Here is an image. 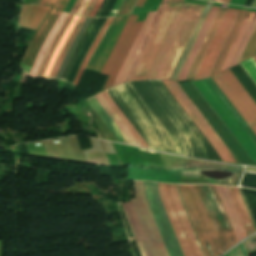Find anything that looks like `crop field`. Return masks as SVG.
Returning <instances> with one entry per match:
<instances>
[{
  "label": "crop field",
  "mask_w": 256,
  "mask_h": 256,
  "mask_svg": "<svg viewBox=\"0 0 256 256\" xmlns=\"http://www.w3.org/2000/svg\"><path fill=\"white\" fill-rule=\"evenodd\" d=\"M129 15L115 17L112 24L105 33L103 39L91 57L86 70L100 73L109 53L118 39Z\"/></svg>",
  "instance_id": "10"
},
{
  "label": "crop field",
  "mask_w": 256,
  "mask_h": 256,
  "mask_svg": "<svg viewBox=\"0 0 256 256\" xmlns=\"http://www.w3.org/2000/svg\"><path fill=\"white\" fill-rule=\"evenodd\" d=\"M91 20H92V18H86V20H85L81 30L78 32V34L76 35L74 41L72 42V44H71V46H70V48H69V50H68V52H67V54H66V56L64 58V61H63L62 65H61V67H60V69H59V71H58V73H57V75L55 77V79H57V80L60 79V77H61V75H62V73H63V71H64V69H65V67L67 65V62H68L72 52L74 51V49L77 46L78 42L80 41L81 37L83 36V34L85 33L86 29L88 28Z\"/></svg>",
  "instance_id": "31"
},
{
  "label": "crop field",
  "mask_w": 256,
  "mask_h": 256,
  "mask_svg": "<svg viewBox=\"0 0 256 256\" xmlns=\"http://www.w3.org/2000/svg\"><path fill=\"white\" fill-rule=\"evenodd\" d=\"M229 191H230V194L232 196V199L235 203V206L237 208V211L239 213V216L241 218V221L244 225V228L246 230V233L247 235L249 236L250 234H252L253 232H255L254 228H253V225L251 223V220L248 216V213L246 211V208L244 206V203L242 201V198L239 194V191L237 188H232V187H228ZM242 225V226H243ZM244 230V231H245Z\"/></svg>",
  "instance_id": "21"
},
{
  "label": "crop field",
  "mask_w": 256,
  "mask_h": 256,
  "mask_svg": "<svg viewBox=\"0 0 256 256\" xmlns=\"http://www.w3.org/2000/svg\"><path fill=\"white\" fill-rule=\"evenodd\" d=\"M37 0H30L28 4L35 5Z\"/></svg>",
  "instance_id": "43"
},
{
  "label": "crop field",
  "mask_w": 256,
  "mask_h": 256,
  "mask_svg": "<svg viewBox=\"0 0 256 256\" xmlns=\"http://www.w3.org/2000/svg\"><path fill=\"white\" fill-rule=\"evenodd\" d=\"M224 11H225V9H223V8L219 9V11H218L211 27H210L208 33H207V35H206V37H205V39L202 43V46H201V48H200V50H199V52H198V54L195 58L190 70H189V73H188V76H187L186 80H192L193 79V77H194V75H195V73H196V71H197V69H198V67L201 63V60H202V58H203V56H204V54L207 50L208 44H209V42H210L218 24H219V21H220L222 15H223Z\"/></svg>",
  "instance_id": "19"
},
{
  "label": "crop field",
  "mask_w": 256,
  "mask_h": 256,
  "mask_svg": "<svg viewBox=\"0 0 256 256\" xmlns=\"http://www.w3.org/2000/svg\"><path fill=\"white\" fill-rule=\"evenodd\" d=\"M101 2H102V0H97V2H96V4H95L94 8L92 9V11L89 13L88 16L94 17V15L96 14V12H97V10H98V8H99Z\"/></svg>",
  "instance_id": "36"
},
{
  "label": "crop field",
  "mask_w": 256,
  "mask_h": 256,
  "mask_svg": "<svg viewBox=\"0 0 256 256\" xmlns=\"http://www.w3.org/2000/svg\"><path fill=\"white\" fill-rule=\"evenodd\" d=\"M229 1H230V0H223V2H225V3H229Z\"/></svg>",
  "instance_id": "44"
},
{
  "label": "crop field",
  "mask_w": 256,
  "mask_h": 256,
  "mask_svg": "<svg viewBox=\"0 0 256 256\" xmlns=\"http://www.w3.org/2000/svg\"><path fill=\"white\" fill-rule=\"evenodd\" d=\"M238 241L247 237L227 187L216 186Z\"/></svg>",
  "instance_id": "12"
},
{
  "label": "crop field",
  "mask_w": 256,
  "mask_h": 256,
  "mask_svg": "<svg viewBox=\"0 0 256 256\" xmlns=\"http://www.w3.org/2000/svg\"><path fill=\"white\" fill-rule=\"evenodd\" d=\"M134 189L137 199H134L133 201L135 203L155 256H168L156 228V225L151 216V213L149 211V208L144 199L142 182L134 181ZM133 201L131 200V202L129 203L121 204L124 213L126 215L141 255L154 256Z\"/></svg>",
  "instance_id": "3"
},
{
  "label": "crop field",
  "mask_w": 256,
  "mask_h": 256,
  "mask_svg": "<svg viewBox=\"0 0 256 256\" xmlns=\"http://www.w3.org/2000/svg\"><path fill=\"white\" fill-rule=\"evenodd\" d=\"M66 16H67V14L62 13V15L60 16V18H59V19L57 20V22L55 23V25H54V27H53L51 33L49 34L47 40L45 41V43H44V45H43V47H42V49H41V51H40V53H39V55H38V57H37V60H36L34 66H33V68H32V70H31V72H30V75H31V76L35 77V75H36V73H37V71H38V69H39V67H40V64H41V62H42V60H43V57H44V55H45V53H46V51H47V49H48V47H49V45H50L52 39H53V37L55 36L56 32H57L58 29L60 28V26H61V24L63 23V21H64V19L66 18Z\"/></svg>",
  "instance_id": "23"
},
{
  "label": "crop field",
  "mask_w": 256,
  "mask_h": 256,
  "mask_svg": "<svg viewBox=\"0 0 256 256\" xmlns=\"http://www.w3.org/2000/svg\"><path fill=\"white\" fill-rule=\"evenodd\" d=\"M135 2H136V0H123L116 16L126 15V14L130 13V11L132 10Z\"/></svg>",
  "instance_id": "34"
},
{
  "label": "crop field",
  "mask_w": 256,
  "mask_h": 256,
  "mask_svg": "<svg viewBox=\"0 0 256 256\" xmlns=\"http://www.w3.org/2000/svg\"><path fill=\"white\" fill-rule=\"evenodd\" d=\"M121 2H122V0H117V1H116V3H115V5H114V7H113V9H112V11H111L109 17L115 16V14H116V12H117V10H118V8H119Z\"/></svg>",
  "instance_id": "37"
},
{
  "label": "crop field",
  "mask_w": 256,
  "mask_h": 256,
  "mask_svg": "<svg viewBox=\"0 0 256 256\" xmlns=\"http://www.w3.org/2000/svg\"><path fill=\"white\" fill-rule=\"evenodd\" d=\"M78 18H79V16L75 15L73 20L71 21V23L69 24V26L67 27L65 32L63 33V35H62V37H61V39H60V41H59V43H58L54 53H53V55H52V57H51V59L49 61V64H48V66H47V68H46L42 78H47L48 77V74H49V72H50V70H51V68H52V66H53V64H54V62H55V60H56V58H57V56H58L62 46H63V44H64V42L66 41L67 37L71 33L72 29L74 28Z\"/></svg>",
  "instance_id": "30"
},
{
  "label": "crop field",
  "mask_w": 256,
  "mask_h": 256,
  "mask_svg": "<svg viewBox=\"0 0 256 256\" xmlns=\"http://www.w3.org/2000/svg\"><path fill=\"white\" fill-rule=\"evenodd\" d=\"M241 65L256 84V62L254 59L250 58L241 63Z\"/></svg>",
  "instance_id": "33"
},
{
  "label": "crop field",
  "mask_w": 256,
  "mask_h": 256,
  "mask_svg": "<svg viewBox=\"0 0 256 256\" xmlns=\"http://www.w3.org/2000/svg\"><path fill=\"white\" fill-rule=\"evenodd\" d=\"M183 0H169L168 5L180 8ZM151 38V41L141 59V61L154 62L165 37L178 13V9L168 6ZM140 62L131 81L146 79L153 63Z\"/></svg>",
  "instance_id": "6"
},
{
  "label": "crop field",
  "mask_w": 256,
  "mask_h": 256,
  "mask_svg": "<svg viewBox=\"0 0 256 256\" xmlns=\"http://www.w3.org/2000/svg\"><path fill=\"white\" fill-rule=\"evenodd\" d=\"M146 0H138L136 6L143 8L145 5Z\"/></svg>",
  "instance_id": "41"
},
{
  "label": "crop field",
  "mask_w": 256,
  "mask_h": 256,
  "mask_svg": "<svg viewBox=\"0 0 256 256\" xmlns=\"http://www.w3.org/2000/svg\"><path fill=\"white\" fill-rule=\"evenodd\" d=\"M67 2L68 0L49 1L47 6L52 8L50 9L49 13L47 14L46 18L44 19L38 30L36 31L35 35L33 36L21 63L32 67L41 46L43 45L45 39L50 33L54 23L63 12Z\"/></svg>",
  "instance_id": "9"
},
{
  "label": "crop field",
  "mask_w": 256,
  "mask_h": 256,
  "mask_svg": "<svg viewBox=\"0 0 256 256\" xmlns=\"http://www.w3.org/2000/svg\"><path fill=\"white\" fill-rule=\"evenodd\" d=\"M114 17H111V18H108L105 22V24L103 25L102 29L100 30L98 36L96 37L94 43L92 44L91 48L89 49L88 53L86 54L80 68H79V71L73 81V85H77L78 81H79V78L87 64V62L89 61L91 55L93 54L94 50L96 49L97 45L99 44L101 38L103 37L104 33L106 32L107 28L109 27V25L111 24L112 20H113Z\"/></svg>",
  "instance_id": "25"
},
{
  "label": "crop field",
  "mask_w": 256,
  "mask_h": 256,
  "mask_svg": "<svg viewBox=\"0 0 256 256\" xmlns=\"http://www.w3.org/2000/svg\"><path fill=\"white\" fill-rule=\"evenodd\" d=\"M82 0H77L70 13L75 14Z\"/></svg>",
  "instance_id": "40"
},
{
  "label": "crop field",
  "mask_w": 256,
  "mask_h": 256,
  "mask_svg": "<svg viewBox=\"0 0 256 256\" xmlns=\"http://www.w3.org/2000/svg\"><path fill=\"white\" fill-rule=\"evenodd\" d=\"M154 14H155V12H149L148 13V15H147V17L145 19V22H144V24H143L139 34L137 35V37H136V39H135V41H134V43H133V45H132V47H131V49H130V51H129V53H128L125 61H124V63L122 64V66H121V68H120V70H119V72H118V74H117V76H116L112 86H115V85L120 84L122 82L123 77H124L128 67H129V65H130V63H131V61H132L136 51H137V48H138V46L140 44V41H141V39H142V37H143V35H144V33H145L149 23L151 22Z\"/></svg>",
  "instance_id": "17"
},
{
  "label": "crop field",
  "mask_w": 256,
  "mask_h": 256,
  "mask_svg": "<svg viewBox=\"0 0 256 256\" xmlns=\"http://www.w3.org/2000/svg\"><path fill=\"white\" fill-rule=\"evenodd\" d=\"M203 8L183 3L147 79H169Z\"/></svg>",
  "instance_id": "2"
},
{
  "label": "crop field",
  "mask_w": 256,
  "mask_h": 256,
  "mask_svg": "<svg viewBox=\"0 0 256 256\" xmlns=\"http://www.w3.org/2000/svg\"><path fill=\"white\" fill-rule=\"evenodd\" d=\"M212 1H214V0H212Z\"/></svg>",
  "instance_id": "47"
},
{
  "label": "crop field",
  "mask_w": 256,
  "mask_h": 256,
  "mask_svg": "<svg viewBox=\"0 0 256 256\" xmlns=\"http://www.w3.org/2000/svg\"><path fill=\"white\" fill-rule=\"evenodd\" d=\"M239 13L240 10L226 9L194 80L209 76Z\"/></svg>",
  "instance_id": "8"
},
{
  "label": "crop field",
  "mask_w": 256,
  "mask_h": 256,
  "mask_svg": "<svg viewBox=\"0 0 256 256\" xmlns=\"http://www.w3.org/2000/svg\"><path fill=\"white\" fill-rule=\"evenodd\" d=\"M206 256H217L237 243L214 185H178Z\"/></svg>",
  "instance_id": "1"
},
{
  "label": "crop field",
  "mask_w": 256,
  "mask_h": 256,
  "mask_svg": "<svg viewBox=\"0 0 256 256\" xmlns=\"http://www.w3.org/2000/svg\"><path fill=\"white\" fill-rule=\"evenodd\" d=\"M167 2H168V0H162V2L160 4V6H159V8H158L154 18H153V20L151 22V24L149 25V27H148V29L146 31V34H145L144 39L142 41V44H141V46H140V48H139V50H138V52H137V54H136L132 64H131V66H130V68H129V70H128V72H127V74H126V76H125V78L123 80V82H127V81L131 80V78H132V76H133V74L135 72V69H136V67H137V65H138V63H139V61L141 59V56H142V54H143V52H144V50H145V48H146V46H147L151 36H152V33H153V31H154V29H155V27H156V25H157V23L159 21L162 13L164 11V9H165V6H166Z\"/></svg>",
  "instance_id": "14"
},
{
  "label": "crop field",
  "mask_w": 256,
  "mask_h": 256,
  "mask_svg": "<svg viewBox=\"0 0 256 256\" xmlns=\"http://www.w3.org/2000/svg\"><path fill=\"white\" fill-rule=\"evenodd\" d=\"M223 256H248V255L245 251L243 244H240L239 246L232 249L231 251H229L228 253H226Z\"/></svg>",
  "instance_id": "35"
},
{
  "label": "crop field",
  "mask_w": 256,
  "mask_h": 256,
  "mask_svg": "<svg viewBox=\"0 0 256 256\" xmlns=\"http://www.w3.org/2000/svg\"><path fill=\"white\" fill-rule=\"evenodd\" d=\"M136 18H137L136 15L131 14L130 18L128 19V21H127L119 39L117 40V42H116V44H115V46H114V48H113V50L110 54L105 66H104V68L101 72L102 75L109 76V74H110V72H111V70H112V68H113V66H114V64H115L123 46H124L127 38H128V36H129V33H130L134 23H135Z\"/></svg>",
  "instance_id": "16"
},
{
  "label": "crop field",
  "mask_w": 256,
  "mask_h": 256,
  "mask_svg": "<svg viewBox=\"0 0 256 256\" xmlns=\"http://www.w3.org/2000/svg\"><path fill=\"white\" fill-rule=\"evenodd\" d=\"M95 97L131 145L149 148L106 91L98 93Z\"/></svg>",
  "instance_id": "11"
},
{
  "label": "crop field",
  "mask_w": 256,
  "mask_h": 256,
  "mask_svg": "<svg viewBox=\"0 0 256 256\" xmlns=\"http://www.w3.org/2000/svg\"><path fill=\"white\" fill-rule=\"evenodd\" d=\"M158 186L160 197L184 256H204L178 195L176 185L158 183Z\"/></svg>",
  "instance_id": "4"
},
{
  "label": "crop field",
  "mask_w": 256,
  "mask_h": 256,
  "mask_svg": "<svg viewBox=\"0 0 256 256\" xmlns=\"http://www.w3.org/2000/svg\"><path fill=\"white\" fill-rule=\"evenodd\" d=\"M95 1H96V0H90V2H89V4H88L87 8L85 9V11H84V13H83L84 16H87V14L90 12V10L92 9V7H93Z\"/></svg>",
  "instance_id": "39"
},
{
  "label": "crop field",
  "mask_w": 256,
  "mask_h": 256,
  "mask_svg": "<svg viewBox=\"0 0 256 256\" xmlns=\"http://www.w3.org/2000/svg\"><path fill=\"white\" fill-rule=\"evenodd\" d=\"M212 5H213V3L208 2L206 7H205V9H204V11L200 15L199 20H198V22H197V24H196V26H195V28H194V30H193L189 40L187 42V45H186V47H185V49H184V51H183V53H182L178 63H177V65H176V67H175V69H174L170 79H174V80L177 79V77H178V75H179V73H180V71L182 69V66H183V64H184V62L186 60V57H187V55H188V53H189V51H190V49H191L195 39H196V37H197V35L199 33V30H200V28H201V26H202V24H203V22H204V20H205V18H206V16H207V14H208V12H209V10H210Z\"/></svg>",
  "instance_id": "18"
},
{
  "label": "crop field",
  "mask_w": 256,
  "mask_h": 256,
  "mask_svg": "<svg viewBox=\"0 0 256 256\" xmlns=\"http://www.w3.org/2000/svg\"><path fill=\"white\" fill-rule=\"evenodd\" d=\"M89 0H83L80 8L78 9V11L76 12V14L78 15H82L84 9L86 8L87 4H88Z\"/></svg>",
  "instance_id": "38"
},
{
  "label": "crop field",
  "mask_w": 256,
  "mask_h": 256,
  "mask_svg": "<svg viewBox=\"0 0 256 256\" xmlns=\"http://www.w3.org/2000/svg\"><path fill=\"white\" fill-rule=\"evenodd\" d=\"M212 78L256 134V104L230 70L227 69Z\"/></svg>",
  "instance_id": "5"
},
{
  "label": "crop field",
  "mask_w": 256,
  "mask_h": 256,
  "mask_svg": "<svg viewBox=\"0 0 256 256\" xmlns=\"http://www.w3.org/2000/svg\"><path fill=\"white\" fill-rule=\"evenodd\" d=\"M87 101L93 107V109L97 112V114L100 116V118L104 121V123L107 125V127L111 130V132L115 135V137L118 139V141L122 142V143L129 144V142L126 140V138L120 132V130L117 128V126L114 124V122L110 119V117L107 115V113L101 107V105L98 103V101L95 99V97L93 96V97L87 99Z\"/></svg>",
  "instance_id": "22"
},
{
  "label": "crop field",
  "mask_w": 256,
  "mask_h": 256,
  "mask_svg": "<svg viewBox=\"0 0 256 256\" xmlns=\"http://www.w3.org/2000/svg\"><path fill=\"white\" fill-rule=\"evenodd\" d=\"M218 8L219 7L212 6V8H211V10H210V12H209V14H208L204 24H203V26H202V28L200 30V33H199V35L197 37V40H196V42H195V44H194V46H193V48H192L188 58H187L184 66H183V69H182V71L180 73V76H179L178 80H185L186 79L188 70H189V68H190V66H191V64H192V62H193V60H194V58H195V56H196L200 46H201V43H202V41H203V39H204L208 29H209V27H210L214 17H215V14H216Z\"/></svg>",
  "instance_id": "15"
},
{
  "label": "crop field",
  "mask_w": 256,
  "mask_h": 256,
  "mask_svg": "<svg viewBox=\"0 0 256 256\" xmlns=\"http://www.w3.org/2000/svg\"><path fill=\"white\" fill-rule=\"evenodd\" d=\"M84 20H85V18L80 17L77 25L75 26V29L79 30L81 25H82V23L84 22ZM75 29H73L72 33L68 37V39H67L63 49L61 50V52H60V54H59V56H58V58H57V60H56V62L54 64V66H53V68H52L48 78H51V79L54 78V76H55V74H56V72H57V70H58V68H59V66H60V64H61V62H62V60H63V58H64V56H65V54H66V52H67V50L69 48V46H70V44H71V42L73 41L75 35L78 32V30H75Z\"/></svg>",
  "instance_id": "28"
},
{
  "label": "crop field",
  "mask_w": 256,
  "mask_h": 256,
  "mask_svg": "<svg viewBox=\"0 0 256 256\" xmlns=\"http://www.w3.org/2000/svg\"><path fill=\"white\" fill-rule=\"evenodd\" d=\"M215 1L221 2L222 0H215Z\"/></svg>",
  "instance_id": "45"
},
{
  "label": "crop field",
  "mask_w": 256,
  "mask_h": 256,
  "mask_svg": "<svg viewBox=\"0 0 256 256\" xmlns=\"http://www.w3.org/2000/svg\"><path fill=\"white\" fill-rule=\"evenodd\" d=\"M255 27H256V13H255L253 19L251 20V22H250L242 40H241V43H240L232 61H231V64H230L229 68L237 65V63H238V61H239V59H240V57H241V55L244 51L249 39L251 38V36L254 32Z\"/></svg>",
  "instance_id": "29"
},
{
  "label": "crop field",
  "mask_w": 256,
  "mask_h": 256,
  "mask_svg": "<svg viewBox=\"0 0 256 256\" xmlns=\"http://www.w3.org/2000/svg\"><path fill=\"white\" fill-rule=\"evenodd\" d=\"M72 17H73V15L68 14L67 18L65 19L64 23L62 24V26L59 29L58 33L56 34L55 38L53 39V41H52V43H51V45H50V47H49V49H48V51L45 55V58L43 57L44 58L43 63L41 65L36 77H38V78L42 77L43 71H44V69H45V67H46V65H47V63H48V61L51 57V54H52L54 48L56 47L62 33L64 32L65 28L67 27V25L70 22Z\"/></svg>",
  "instance_id": "27"
},
{
  "label": "crop field",
  "mask_w": 256,
  "mask_h": 256,
  "mask_svg": "<svg viewBox=\"0 0 256 256\" xmlns=\"http://www.w3.org/2000/svg\"><path fill=\"white\" fill-rule=\"evenodd\" d=\"M253 56H256V30H255L240 62H242L250 57H253Z\"/></svg>",
  "instance_id": "32"
},
{
  "label": "crop field",
  "mask_w": 256,
  "mask_h": 256,
  "mask_svg": "<svg viewBox=\"0 0 256 256\" xmlns=\"http://www.w3.org/2000/svg\"><path fill=\"white\" fill-rule=\"evenodd\" d=\"M142 24H143V21L135 23V25H134L131 33H130V36H129V38H128V40H127V42H126V44H125V46H124V48H123V50H122V52L119 56V58H118V60L115 64V66H114V68H113V70H112V72H111L103 90L107 89L111 86V84H112V82H113V80H114V78H115V76H116L124 58H125V56L127 55L128 51H129V49H130V47H131V45H132V43H133V41H134V39L137 35V33L139 32V30L142 26Z\"/></svg>",
  "instance_id": "20"
},
{
  "label": "crop field",
  "mask_w": 256,
  "mask_h": 256,
  "mask_svg": "<svg viewBox=\"0 0 256 256\" xmlns=\"http://www.w3.org/2000/svg\"><path fill=\"white\" fill-rule=\"evenodd\" d=\"M48 1H49V0H43V2H42V0H38V2H37V4H36V5H40V4H41V2H42V4H41V5L46 6V5H47V3H48Z\"/></svg>",
  "instance_id": "42"
},
{
  "label": "crop field",
  "mask_w": 256,
  "mask_h": 256,
  "mask_svg": "<svg viewBox=\"0 0 256 256\" xmlns=\"http://www.w3.org/2000/svg\"><path fill=\"white\" fill-rule=\"evenodd\" d=\"M254 59H255V61H256V57H255Z\"/></svg>",
  "instance_id": "46"
},
{
  "label": "crop field",
  "mask_w": 256,
  "mask_h": 256,
  "mask_svg": "<svg viewBox=\"0 0 256 256\" xmlns=\"http://www.w3.org/2000/svg\"><path fill=\"white\" fill-rule=\"evenodd\" d=\"M253 15H254V13H252V12H248V14L246 15V17H245V19H244V21H243V23H242V25H241L237 35H236V37H235V40H234V42H233V44L231 46V49H230V51H229V53H228V55H227L223 65H222L220 71L227 69V67H228V65H229V63H230V61H231V59L233 57V54H234V52H235V50H236V48H237V46H238V44H239V42L241 40V38H242L246 28H247L250 20L252 19Z\"/></svg>",
  "instance_id": "26"
},
{
  "label": "crop field",
  "mask_w": 256,
  "mask_h": 256,
  "mask_svg": "<svg viewBox=\"0 0 256 256\" xmlns=\"http://www.w3.org/2000/svg\"><path fill=\"white\" fill-rule=\"evenodd\" d=\"M161 81L172 94V96L176 99V101L180 104L183 110L187 113L190 119L194 122L197 128L201 131L204 137L212 145L215 151L219 154L222 160L225 162L236 163L231 153L224 146L221 140L217 137L214 131L210 128V126L207 124L204 118L200 115L197 109L193 106L190 100L183 93V91L179 88L176 82L172 80Z\"/></svg>",
  "instance_id": "7"
},
{
  "label": "crop field",
  "mask_w": 256,
  "mask_h": 256,
  "mask_svg": "<svg viewBox=\"0 0 256 256\" xmlns=\"http://www.w3.org/2000/svg\"><path fill=\"white\" fill-rule=\"evenodd\" d=\"M246 14H247V11H242L241 12V14H240V16H239V18H238V20H237L233 30L231 31V33H230V35H229V37H228V39H227V41L225 43V46H224V48H223V50H222V52H221V54H220V56H219V58L217 60V63H216V65H215V67H214V69H213V71H212L210 76L218 73V71H219V69H220V67H221V65H222V63L224 61V58H225V56H226V54H227V52H228V50H229V48H230V46L232 44V41H233V39L235 37V34H236V32H237V30H238V28H239V26H240V24H241V22H242V20H243V18L245 17Z\"/></svg>",
  "instance_id": "24"
},
{
  "label": "crop field",
  "mask_w": 256,
  "mask_h": 256,
  "mask_svg": "<svg viewBox=\"0 0 256 256\" xmlns=\"http://www.w3.org/2000/svg\"><path fill=\"white\" fill-rule=\"evenodd\" d=\"M49 9V7L23 5L20 13L19 26L37 30Z\"/></svg>",
  "instance_id": "13"
}]
</instances>
